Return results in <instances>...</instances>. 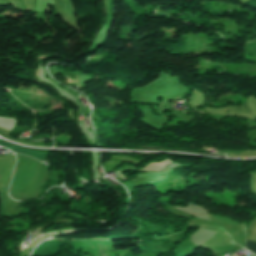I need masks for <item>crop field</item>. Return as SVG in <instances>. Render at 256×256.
I'll return each instance as SVG.
<instances>
[{
  "mask_svg": "<svg viewBox=\"0 0 256 256\" xmlns=\"http://www.w3.org/2000/svg\"><path fill=\"white\" fill-rule=\"evenodd\" d=\"M246 249L256 254V243L246 240Z\"/></svg>",
  "mask_w": 256,
  "mask_h": 256,
  "instance_id": "2",
  "label": "crop field"
},
{
  "mask_svg": "<svg viewBox=\"0 0 256 256\" xmlns=\"http://www.w3.org/2000/svg\"><path fill=\"white\" fill-rule=\"evenodd\" d=\"M38 70H36L35 76H37Z\"/></svg>",
  "mask_w": 256,
  "mask_h": 256,
  "instance_id": "3",
  "label": "crop field"
},
{
  "mask_svg": "<svg viewBox=\"0 0 256 256\" xmlns=\"http://www.w3.org/2000/svg\"><path fill=\"white\" fill-rule=\"evenodd\" d=\"M0 145L3 146V147L9 148V149H11V150H13L15 152H20V153H24V154H26L28 156L35 157V158H37V159H39L41 161L44 160L45 153H46V152H34V151H28V150H25V149H21V148H18L16 146H13V145H11L9 143H6V142H4L2 140H0Z\"/></svg>",
  "mask_w": 256,
  "mask_h": 256,
  "instance_id": "1",
  "label": "crop field"
},
{
  "mask_svg": "<svg viewBox=\"0 0 256 256\" xmlns=\"http://www.w3.org/2000/svg\"><path fill=\"white\" fill-rule=\"evenodd\" d=\"M227 234V233H226ZM228 235V234H227Z\"/></svg>",
  "mask_w": 256,
  "mask_h": 256,
  "instance_id": "4",
  "label": "crop field"
}]
</instances>
